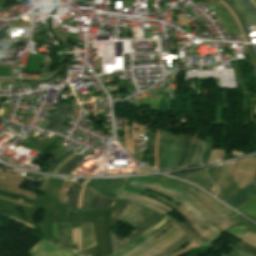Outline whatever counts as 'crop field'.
Instances as JSON below:
<instances>
[{
	"mask_svg": "<svg viewBox=\"0 0 256 256\" xmlns=\"http://www.w3.org/2000/svg\"><path fill=\"white\" fill-rule=\"evenodd\" d=\"M196 188V187H194ZM193 186H188L181 198L187 202L177 207V212L180 213L187 221L194 223H213L231 217L237 213L218 202L211 196L207 195L200 189L196 188L204 199ZM197 196L213 213H211L195 196Z\"/></svg>",
	"mask_w": 256,
	"mask_h": 256,
	"instance_id": "1",
	"label": "crop field"
},
{
	"mask_svg": "<svg viewBox=\"0 0 256 256\" xmlns=\"http://www.w3.org/2000/svg\"><path fill=\"white\" fill-rule=\"evenodd\" d=\"M169 217L165 215L162 219H160L155 225L147 229L145 232L137 236L129 244L125 245L115 253L110 256H123L127 252L136 248L139 244H141L145 239H147L150 235L156 232L159 228L165 225L169 220L166 218ZM30 253L32 256H88L84 253H76V251L71 250L69 248L64 247L58 243L52 245L46 240H41L38 244H36L33 248H31Z\"/></svg>",
	"mask_w": 256,
	"mask_h": 256,
	"instance_id": "2",
	"label": "crop field"
},
{
	"mask_svg": "<svg viewBox=\"0 0 256 256\" xmlns=\"http://www.w3.org/2000/svg\"><path fill=\"white\" fill-rule=\"evenodd\" d=\"M152 212L153 210L149 208L130 202L129 205L126 207V209L122 212V214L118 218H122L125 222L135 227ZM162 216L163 215L154 211L139 225H137L136 226L137 229L124 240L128 242L133 240L134 238H136L137 235H139L140 233L145 231L147 228L155 224L157 220L160 219Z\"/></svg>",
	"mask_w": 256,
	"mask_h": 256,
	"instance_id": "3",
	"label": "crop field"
},
{
	"mask_svg": "<svg viewBox=\"0 0 256 256\" xmlns=\"http://www.w3.org/2000/svg\"><path fill=\"white\" fill-rule=\"evenodd\" d=\"M131 179H135V180H138V181H142V182H145V183L156 185V186H159V187H162V188H165V189H168V190L180 193V194H183V192L186 189L185 186L173 184V183L166 182V181L159 180V179L152 178V177H133ZM131 179H128V181L126 182L125 185L131 186V187H136V188H141V189L152 190V191L161 193V194L169 197L170 199H172L174 201H177L181 204L186 202V201H184L183 199L180 198L181 197L180 194H177V193H174V192H171V191H168V190L156 187V186H152V185H149V184H145V183H142V182L131 180Z\"/></svg>",
	"mask_w": 256,
	"mask_h": 256,
	"instance_id": "4",
	"label": "crop field"
},
{
	"mask_svg": "<svg viewBox=\"0 0 256 256\" xmlns=\"http://www.w3.org/2000/svg\"><path fill=\"white\" fill-rule=\"evenodd\" d=\"M176 226L175 224L172 225L171 227H169L168 229H166L164 232H162L160 235H158L152 242H150L149 244L145 245L144 247H142L141 249H139L138 251L134 252L133 254L129 255V256H154L162 251H164L166 248H168L170 245H172L173 243H175L177 240H179L180 238H182L184 235H186L179 227H175L171 232L170 230ZM178 229V230H177ZM177 230L175 233L174 231ZM182 231L180 234L179 232ZM168 232H170L169 234H167ZM174 233V234H173ZM165 234H167L164 238H162ZM171 234H173L170 238H168ZM179 234V235H178ZM178 235V236H177ZM177 236V237H176ZM174 237H176L172 242L168 243L171 239H173ZM162 238L161 240H159L158 242H156L158 239ZM168 238V239H167ZM165 239H167L164 243L160 244L159 246H157L159 243H161L162 241H164ZM156 242V243H155ZM155 243V244H154ZM168 243V244H167ZM167 244V245H166ZM166 245V246H164ZM157 246V247H156ZM164 246L163 248H160Z\"/></svg>",
	"mask_w": 256,
	"mask_h": 256,
	"instance_id": "5",
	"label": "crop field"
},
{
	"mask_svg": "<svg viewBox=\"0 0 256 256\" xmlns=\"http://www.w3.org/2000/svg\"><path fill=\"white\" fill-rule=\"evenodd\" d=\"M185 139V133L179 135L168 133L166 137V151L164 158V168H174L178 162L179 155Z\"/></svg>",
	"mask_w": 256,
	"mask_h": 256,
	"instance_id": "6",
	"label": "crop field"
},
{
	"mask_svg": "<svg viewBox=\"0 0 256 256\" xmlns=\"http://www.w3.org/2000/svg\"><path fill=\"white\" fill-rule=\"evenodd\" d=\"M127 179H92L86 186L103 196L116 198Z\"/></svg>",
	"mask_w": 256,
	"mask_h": 256,
	"instance_id": "7",
	"label": "crop field"
},
{
	"mask_svg": "<svg viewBox=\"0 0 256 256\" xmlns=\"http://www.w3.org/2000/svg\"><path fill=\"white\" fill-rule=\"evenodd\" d=\"M237 224L239 223L234 218H230L228 220H224L212 225H191L197 232L205 236L210 241L214 242L219 238L222 232Z\"/></svg>",
	"mask_w": 256,
	"mask_h": 256,
	"instance_id": "8",
	"label": "crop field"
},
{
	"mask_svg": "<svg viewBox=\"0 0 256 256\" xmlns=\"http://www.w3.org/2000/svg\"><path fill=\"white\" fill-rule=\"evenodd\" d=\"M171 221H173L177 226H179L187 235L184 236L182 239H180L179 241H177L175 244H173L172 246H170L168 249H166L164 252H162L161 254H158L156 256H168L172 253H174L175 251H177L179 248L183 247L184 245L188 244L191 241H195L199 246L203 247L205 246V243L199 241L195 235L190 232L185 226H183L181 223L177 222L175 219H173L171 216L168 218Z\"/></svg>",
	"mask_w": 256,
	"mask_h": 256,
	"instance_id": "9",
	"label": "crop field"
},
{
	"mask_svg": "<svg viewBox=\"0 0 256 256\" xmlns=\"http://www.w3.org/2000/svg\"><path fill=\"white\" fill-rule=\"evenodd\" d=\"M173 176L190 180L205 189L206 191L216 195L210 190L214 185L211 183L209 177L207 176L205 169L193 172H186L182 174H174Z\"/></svg>",
	"mask_w": 256,
	"mask_h": 256,
	"instance_id": "10",
	"label": "crop field"
},
{
	"mask_svg": "<svg viewBox=\"0 0 256 256\" xmlns=\"http://www.w3.org/2000/svg\"><path fill=\"white\" fill-rule=\"evenodd\" d=\"M69 108L70 105L58 103L46 130L57 132L65 122Z\"/></svg>",
	"mask_w": 256,
	"mask_h": 256,
	"instance_id": "11",
	"label": "crop field"
},
{
	"mask_svg": "<svg viewBox=\"0 0 256 256\" xmlns=\"http://www.w3.org/2000/svg\"><path fill=\"white\" fill-rule=\"evenodd\" d=\"M255 195H256V184L255 182H253L225 202L236 209L241 204L251 199Z\"/></svg>",
	"mask_w": 256,
	"mask_h": 256,
	"instance_id": "12",
	"label": "crop field"
},
{
	"mask_svg": "<svg viewBox=\"0 0 256 256\" xmlns=\"http://www.w3.org/2000/svg\"><path fill=\"white\" fill-rule=\"evenodd\" d=\"M82 248L95 247L93 223H81Z\"/></svg>",
	"mask_w": 256,
	"mask_h": 256,
	"instance_id": "13",
	"label": "crop field"
},
{
	"mask_svg": "<svg viewBox=\"0 0 256 256\" xmlns=\"http://www.w3.org/2000/svg\"><path fill=\"white\" fill-rule=\"evenodd\" d=\"M118 198H128V199L142 200V201H146V202L155 204V205H157L161 208H164V209H166L170 212L174 210V209L170 208L169 206L165 205L164 203H162V202H160V201H158L154 198L143 196V195L136 194V193L122 191V193L119 195Z\"/></svg>",
	"mask_w": 256,
	"mask_h": 256,
	"instance_id": "14",
	"label": "crop field"
},
{
	"mask_svg": "<svg viewBox=\"0 0 256 256\" xmlns=\"http://www.w3.org/2000/svg\"><path fill=\"white\" fill-rule=\"evenodd\" d=\"M228 1H230L232 5L235 7V9L239 12L246 27L255 25L254 20L252 19L246 7L240 2V0Z\"/></svg>",
	"mask_w": 256,
	"mask_h": 256,
	"instance_id": "15",
	"label": "crop field"
},
{
	"mask_svg": "<svg viewBox=\"0 0 256 256\" xmlns=\"http://www.w3.org/2000/svg\"><path fill=\"white\" fill-rule=\"evenodd\" d=\"M115 199H106L97 193L93 192L92 195V202L90 208H107L112 207Z\"/></svg>",
	"mask_w": 256,
	"mask_h": 256,
	"instance_id": "16",
	"label": "crop field"
},
{
	"mask_svg": "<svg viewBox=\"0 0 256 256\" xmlns=\"http://www.w3.org/2000/svg\"><path fill=\"white\" fill-rule=\"evenodd\" d=\"M236 210L256 220V197L251 199L246 204H244L243 206L239 207Z\"/></svg>",
	"mask_w": 256,
	"mask_h": 256,
	"instance_id": "17",
	"label": "crop field"
},
{
	"mask_svg": "<svg viewBox=\"0 0 256 256\" xmlns=\"http://www.w3.org/2000/svg\"><path fill=\"white\" fill-rule=\"evenodd\" d=\"M62 229H63V242L66 244H72L71 224H62ZM58 235H59L60 241L62 242L61 224H58Z\"/></svg>",
	"mask_w": 256,
	"mask_h": 256,
	"instance_id": "18",
	"label": "crop field"
},
{
	"mask_svg": "<svg viewBox=\"0 0 256 256\" xmlns=\"http://www.w3.org/2000/svg\"><path fill=\"white\" fill-rule=\"evenodd\" d=\"M123 190H127V191H131V192H136V193H140V194L152 196V197H154V198H156L157 196H159V197H161L162 199L166 200L167 202H169V203H171V204H173V205H175V206L179 205L178 203H176V202H174V201H171V200H169L168 198H166V197H164V196H161V195H158V194L153 193V192H149V191H145V190H140V189H135V188H130V187H126V186L123 187ZM157 199H159V200H161V201L167 203L166 201H164V200H162V199H160V198H158V197H157ZM169 203H167V204H169ZM171 204H169V205H171ZM173 205H171V206H173ZM175 206H173V207H175Z\"/></svg>",
	"mask_w": 256,
	"mask_h": 256,
	"instance_id": "19",
	"label": "crop field"
},
{
	"mask_svg": "<svg viewBox=\"0 0 256 256\" xmlns=\"http://www.w3.org/2000/svg\"><path fill=\"white\" fill-rule=\"evenodd\" d=\"M207 6H209L210 8L213 9V11L217 14V16L221 19L222 25L226 31V33H230L233 32L232 28L227 20V18L225 17V15L220 11V9L218 7H216L214 4H212L211 2L206 4Z\"/></svg>",
	"mask_w": 256,
	"mask_h": 256,
	"instance_id": "20",
	"label": "crop field"
},
{
	"mask_svg": "<svg viewBox=\"0 0 256 256\" xmlns=\"http://www.w3.org/2000/svg\"><path fill=\"white\" fill-rule=\"evenodd\" d=\"M80 185L74 183L72 193L69 201V212H76L77 208V197L80 190Z\"/></svg>",
	"mask_w": 256,
	"mask_h": 256,
	"instance_id": "21",
	"label": "crop field"
},
{
	"mask_svg": "<svg viewBox=\"0 0 256 256\" xmlns=\"http://www.w3.org/2000/svg\"><path fill=\"white\" fill-rule=\"evenodd\" d=\"M84 158L80 157V156H75L73 159H71L68 163H66L65 165H63L60 169H59V173H70L74 168H76L78 165H76L77 163H79L81 160H83Z\"/></svg>",
	"mask_w": 256,
	"mask_h": 256,
	"instance_id": "22",
	"label": "crop field"
},
{
	"mask_svg": "<svg viewBox=\"0 0 256 256\" xmlns=\"http://www.w3.org/2000/svg\"><path fill=\"white\" fill-rule=\"evenodd\" d=\"M198 139H199V133H193L191 147H190V150H189V153H188V156H187L184 166L191 165V163L193 161V157H194Z\"/></svg>",
	"mask_w": 256,
	"mask_h": 256,
	"instance_id": "23",
	"label": "crop field"
},
{
	"mask_svg": "<svg viewBox=\"0 0 256 256\" xmlns=\"http://www.w3.org/2000/svg\"><path fill=\"white\" fill-rule=\"evenodd\" d=\"M154 132L155 129L150 127L149 130V139H148V157H147V163L152 166V160H153V141H154Z\"/></svg>",
	"mask_w": 256,
	"mask_h": 256,
	"instance_id": "24",
	"label": "crop field"
},
{
	"mask_svg": "<svg viewBox=\"0 0 256 256\" xmlns=\"http://www.w3.org/2000/svg\"><path fill=\"white\" fill-rule=\"evenodd\" d=\"M191 135H192V133L186 132V140H185L184 148H183V151H182V154L179 159L177 167L182 166L186 159V156H187V153L189 150V146H190V142H191Z\"/></svg>",
	"mask_w": 256,
	"mask_h": 256,
	"instance_id": "25",
	"label": "crop field"
},
{
	"mask_svg": "<svg viewBox=\"0 0 256 256\" xmlns=\"http://www.w3.org/2000/svg\"><path fill=\"white\" fill-rule=\"evenodd\" d=\"M127 243L128 242H126V241L120 239L119 237L111 234V244H112L113 252H115L116 250H118L119 248H121L122 246H124Z\"/></svg>",
	"mask_w": 256,
	"mask_h": 256,
	"instance_id": "26",
	"label": "crop field"
},
{
	"mask_svg": "<svg viewBox=\"0 0 256 256\" xmlns=\"http://www.w3.org/2000/svg\"><path fill=\"white\" fill-rule=\"evenodd\" d=\"M212 140H213V137H207L206 139V144H205L204 153L202 157V163H206L208 161L209 153L212 148Z\"/></svg>",
	"mask_w": 256,
	"mask_h": 256,
	"instance_id": "27",
	"label": "crop field"
},
{
	"mask_svg": "<svg viewBox=\"0 0 256 256\" xmlns=\"http://www.w3.org/2000/svg\"><path fill=\"white\" fill-rule=\"evenodd\" d=\"M165 136H166V132L161 130L160 161H159L158 169H162V167H163Z\"/></svg>",
	"mask_w": 256,
	"mask_h": 256,
	"instance_id": "28",
	"label": "crop field"
},
{
	"mask_svg": "<svg viewBox=\"0 0 256 256\" xmlns=\"http://www.w3.org/2000/svg\"><path fill=\"white\" fill-rule=\"evenodd\" d=\"M229 169H230V163L225 164L224 167H223V170L221 172V176L219 178V181L216 185L219 190H220L221 186L223 185V183H224V181H225V179L228 175Z\"/></svg>",
	"mask_w": 256,
	"mask_h": 256,
	"instance_id": "29",
	"label": "crop field"
},
{
	"mask_svg": "<svg viewBox=\"0 0 256 256\" xmlns=\"http://www.w3.org/2000/svg\"><path fill=\"white\" fill-rule=\"evenodd\" d=\"M215 1H216L218 4H220V5L224 8V10L227 12V14H228V15L230 16V18L232 19V21H233L235 27L238 28V26H237V24H236V22H235L233 16L230 14L229 10H228L227 8H225V7L223 6V4L220 3L219 1H217V0H215ZM216 2L213 1L212 3H214L216 6H218V7L221 9V11H222V12L226 15V17L228 18V20H229V22H230L232 28L234 29L235 27H234V25H233L231 19H230L229 16L226 14V12L222 9V7H221L220 5H218Z\"/></svg>",
	"mask_w": 256,
	"mask_h": 256,
	"instance_id": "30",
	"label": "crop field"
},
{
	"mask_svg": "<svg viewBox=\"0 0 256 256\" xmlns=\"http://www.w3.org/2000/svg\"><path fill=\"white\" fill-rule=\"evenodd\" d=\"M248 231L246 230L244 227L240 226V227H233L230 230H228L227 232L234 235L235 237L242 239L243 234Z\"/></svg>",
	"mask_w": 256,
	"mask_h": 256,
	"instance_id": "31",
	"label": "crop field"
},
{
	"mask_svg": "<svg viewBox=\"0 0 256 256\" xmlns=\"http://www.w3.org/2000/svg\"><path fill=\"white\" fill-rule=\"evenodd\" d=\"M244 242L256 247V234L247 232L244 236Z\"/></svg>",
	"mask_w": 256,
	"mask_h": 256,
	"instance_id": "32",
	"label": "crop field"
},
{
	"mask_svg": "<svg viewBox=\"0 0 256 256\" xmlns=\"http://www.w3.org/2000/svg\"><path fill=\"white\" fill-rule=\"evenodd\" d=\"M202 149H203V142L199 139V143H198V146H197L196 155H195V157H194V162H193L192 165L201 163V162H200V157H201Z\"/></svg>",
	"mask_w": 256,
	"mask_h": 256,
	"instance_id": "33",
	"label": "crop field"
},
{
	"mask_svg": "<svg viewBox=\"0 0 256 256\" xmlns=\"http://www.w3.org/2000/svg\"><path fill=\"white\" fill-rule=\"evenodd\" d=\"M232 178H233V176L228 175V177H227V179H226V182H225V184H224V186H223L221 192H220L216 197H218V198L221 199V198L224 196V194L227 192V190H228V188H229V185H230V183H231V181H232Z\"/></svg>",
	"mask_w": 256,
	"mask_h": 256,
	"instance_id": "34",
	"label": "crop field"
},
{
	"mask_svg": "<svg viewBox=\"0 0 256 256\" xmlns=\"http://www.w3.org/2000/svg\"><path fill=\"white\" fill-rule=\"evenodd\" d=\"M182 224H184L188 229H190L198 239H200L201 241L205 242L206 245L212 243L210 242L209 240H207L205 237H203L202 235H200L199 233H197L193 228L192 226L189 224V223H186V222H182Z\"/></svg>",
	"mask_w": 256,
	"mask_h": 256,
	"instance_id": "35",
	"label": "crop field"
},
{
	"mask_svg": "<svg viewBox=\"0 0 256 256\" xmlns=\"http://www.w3.org/2000/svg\"><path fill=\"white\" fill-rule=\"evenodd\" d=\"M173 223H169L167 226H165L164 228H162L160 231H158L156 234H154L153 236H151L149 239L145 240L140 246H138L135 250L131 251L130 253L126 254L125 256H128L129 254L133 253L134 251H136L137 249L141 248L143 245H145L146 243L150 242L154 237H156L161 231L165 230L166 228H168L170 225H172Z\"/></svg>",
	"mask_w": 256,
	"mask_h": 256,
	"instance_id": "36",
	"label": "crop field"
},
{
	"mask_svg": "<svg viewBox=\"0 0 256 256\" xmlns=\"http://www.w3.org/2000/svg\"><path fill=\"white\" fill-rule=\"evenodd\" d=\"M229 247L233 248L229 256H253V255L243 252L231 245ZM222 256H225V255H222Z\"/></svg>",
	"mask_w": 256,
	"mask_h": 256,
	"instance_id": "37",
	"label": "crop field"
},
{
	"mask_svg": "<svg viewBox=\"0 0 256 256\" xmlns=\"http://www.w3.org/2000/svg\"><path fill=\"white\" fill-rule=\"evenodd\" d=\"M240 247L243 251L256 255V248L241 241Z\"/></svg>",
	"mask_w": 256,
	"mask_h": 256,
	"instance_id": "38",
	"label": "crop field"
},
{
	"mask_svg": "<svg viewBox=\"0 0 256 256\" xmlns=\"http://www.w3.org/2000/svg\"><path fill=\"white\" fill-rule=\"evenodd\" d=\"M70 184H71V181H64L63 183V186L61 189V196H60V200H62V202H65V194Z\"/></svg>",
	"mask_w": 256,
	"mask_h": 256,
	"instance_id": "39",
	"label": "crop field"
},
{
	"mask_svg": "<svg viewBox=\"0 0 256 256\" xmlns=\"http://www.w3.org/2000/svg\"><path fill=\"white\" fill-rule=\"evenodd\" d=\"M224 1H225V2L229 5V7L235 12L236 16H237L238 19L240 20V22H241V24H242V26H243V28H244V30H245L246 36H247V38H248V41L251 42V41H250V38H249V35H248V32H247V30H246V28H245V26H244V24H243V22H242V19H241L240 15L237 13V11L234 9V7H233L228 1H226V0H224Z\"/></svg>",
	"mask_w": 256,
	"mask_h": 256,
	"instance_id": "40",
	"label": "crop field"
},
{
	"mask_svg": "<svg viewBox=\"0 0 256 256\" xmlns=\"http://www.w3.org/2000/svg\"><path fill=\"white\" fill-rule=\"evenodd\" d=\"M219 1H221V2L230 10V12L233 14V16H234L236 22L238 23V25H239V27H240V30H241V32H242V34H243L244 41H245V42H248L247 39H246L245 33H244V31H243V29H242V27H241V25H240V23H239L237 17L235 16V14L232 12V10L228 7V5H227L223 0H219Z\"/></svg>",
	"mask_w": 256,
	"mask_h": 256,
	"instance_id": "41",
	"label": "crop field"
},
{
	"mask_svg": "<svg viewBox=\"0 0 256 256\" xmlns=\"http://www.w3.org/2000/svg\"><path fill=\"white\" fill-rule=\"evenodd\" d=\"M75 155H77V153H72L70 156H68L66 159H64L61 163H59L58 165H57V167L55 168V170L53 171V172H57L58 171V169L63 165V164H65L67 161H69L71 158H73Z\"/></svg>",
	"mask_w": 256,
	"mask_h": 256,
	"instance_id": "42",
	"label": "crop field"
},
{
	"mask_svg": "<svg viewBox=\"0 0 256 256\" xmlns=\"http://www.w3.org/2000/svg\"><path fill=\"white\" fill-rule=\"evenodd\" d=\"M72 152H74V151H70V152H68L66 155H64L62 158H60L58 161H56L55 163H53L52 165H50V167H49V169H48V171H53V169H54V167L59 163V162H61L64 158H66L68 155H70Z\"/></svg>",
	"mask_w": 256,
	"mask_h": 256,
	"instance_id": "43",
	"label": "crop field"
},
{
	"mask_svg": "<svg viewBox=\"0 0 256 256\" xmlns=\"http://www.w3.org/2000/svg\"><path fill=\"white\" fill-rule=\"evenodd\" d=\"M155 177L161 178V179H164V180H168V181H171V182L179 183V184H182V185H186V186L188 185L187 183L181 182L177 179L168 178L166 176H155Z\"/></svg>",
	"mask_w": 256,
	"mask_h": 256,
	"instance_id": "44",
	"label": "crop field"
},
{
	"mask_svg": "<svg viewBox=\"0 0 256 256\" xmlns=\"http://www.w3.org/2000/svg\"><path fill=\"white\" fill-rule=\"evenodd\" d=\"M134 202H136V201H134ZM137 203H139V204H141V205H144V206H147V207H149V208H152V209H154V210H156V211H158V212H160V213H162V214H166L167 212H165V211H163V210H161V209H159V208H157V207H155V206H153V205H150V204H146V203H142V202H137Z\"/></svg>",
	"mask_w": 256,
	"mask_h": 256,
	"instance_id": "45",
	"label": "crop field"
},
{
	"mask_svg": "<svg viewBox=\"0 0 256 256\" xmlns=\"http://www.w3.org/2000/svg\"><path fill=\"white\" fill-rule=\"evenodd\" d=\"M222 167H223V166H219V167H216V169H215V174H214V177H213V179H212L215 184H216V182H217V180H218V178H219V175H220V172H221V170H222Z\"/></svg>",
	"mask_w": 256,
	"mask_h": 256,
	"instance_id": "46",
	"label": "crop field"
},
{
	"mask_svg": "<svg viewBox=\"0 0 256 256\" xmlns=\"http://www.w3.org/2000/svg\"><path fill=\"white\" fill-rule=\"evenodd\" d=\"M240 190H241V188H239V187L237 186V187H236L235 189H233L225 198H223L222 201L228 199L229 197H231L232 195H234L235 193H237V192L240 191Z\"/></svg>",
	"mask_w": 256,
	"mask_h": 256,
	"instance_id": "47",
	"label": "crop field"
},
{
	"mask_svg": "<svg viewBox=\"0 0 256 256\" xmlns=\"http://www.w3.org/2000/svg\"><path fill=\"white\" fill-rule=\"evenodd\" d=\"M217 153H218V150H215V151H212V152H211L210 158H209V162L216 160V158H217Z\"/></svg>",
	"mask_w": 256,
	"mask_h": 256,
	"instance_id": "48",
	"label": "crop field"
},
{
	"mask_svg": "<svg viewBox=\"0 0 256 256\" xmlns=\"http://www.w3.org/2000/svg\"><path fill=\"white\" fill-rule=\"evenodd\" d=\"M88 190H89L88 188L85 189L84 199H83V203H82V210H85V203H86Z\"/></svg>",
	"mask_w": 256,
	"mask_h": 256,
	"instance_id": "49",
	"label": "crop field"
},
{
	"mask_svg": "<svg viewBox=\"0 0 256 256\" xmlns=\"http://www.w3.org/2000/svg\"><path fill=\"white\" fill-rule=\"evenodd\" d=\"M245 1L250 6V8L253 10V12L256 14V7L253 5V3L250 0H245Z\"/></svg>",
	"mask_w": 256,
	"mask_h": 256,
	"instance_id": "50",
	"label": "crop field"
},
{
	"mask_svg": "<svg viewBox=\"0 0 256 256\" xmlns=\"http://www.w3.org/2000/svg\"><path fill=\"white\" fill-rule=\"evenodd\" d=\"M247 47H248V51H249V54H250V56H251L252 62H253V64H254L255 71H256V64H255V61H254V57H253L252 51H251L249 45H247Z\"/></svg>",
	"mask_w": 256,
	"mask_h": 256,
	"instance_id": "51",
	"label": "crop field"
},
{
	"mask_svg": "<svg viewBox=\"0 0 256 256\" xmlns=\"http://www.w3.org/2000/svg\"><path fill=\"white\" fill-rule=\"evenodd\" d=\"M91 195H92V190H90V191H89V195H88V199H87L86 208H89V206H90V202H91Z\"/></svg>",
	"mask_w": 256,
	"mask_h": 256,
	"instance_id": "52",
	"label": "crop field"
},
{
	"mask_svg": "<svg viewBox=\"0 0 256 256\" xmlns=\"http://www.w3.org/2000/svg\"><path fill=\"white\" fill-rule=\"evenodd\" d=\"M53 232H54V235L58 238V236H57V224H53Z\"/></svg>",
	"mask_w": 256,
	"mask_h": 256,
	"instance_id": "53",
	"label": "crop field"
},
{
	"mask_svg": "<svg viewBox=\"0 0 256 256\" xmlns=\"http://www.w3.org/2000/svg\"><path fill=\"white\" fill-rule=\"evenodd\" d=\"M242 2H243V4L248 8V6L245 4V2L243 1V0H241ZM248 10L250 11V13H251V15H252V17H253V19L255 20V22H256V17H255V15L252 13V11L248 8Z\"/></svg>",
	"mask_w": 256,
	"mask_h": 256,
	"instance_id": "54",
	"label": "crop field"
},
{
	"mask_svg": "<svg viewBox=\"0 0 256 256\" xmlns=\"http://www.w3.org/2000/svg\"><path fill=\"white\" fill-rule=\"evenodd\" d=\"M58 203H59V201H58V202H57V204H56V208H55V212H54V219H53V223H55L56 211H57Z\"/></svg>",
	"mask_w": 256,
	"mask_h": 256,
	"instance_id": "55",
	"label": "crop field"
},
{
	"mask_svg": "<svg viewBox=\"0 0 256 256\" xmlns=\"http://www.w3.org/2000/svg\"><path fill=\"white\" fill-rule=\"evenodd\" d=\"M251 46V49H252V51H253V54H254V57H255V60H256V53H255V51H254V49H253V46L252 45H250Z\"/></svg>",
	"mask_w": 256,
	"mask_h": 256,
	"instance_id": "56",
	"label": "crop field"
},
{
	"mask_svg": "<svg viewBox=\"0 0 256 256\" xmlns=\"http://www.w3.org/2000/svg\"><path fill=\"white\" fill-rule=\"evenodd\" d=\"M212 190L217 194L218 189L214 186Z\"/></svg>",
	"mask_w": 256,
	"mask_h": 256,
	"instance_id": "57",
	"label": "crop field"
},
{
	"mask_svg": "<svg viewBox=\"0 0 256 256\" xmlns=\"http://www.w3.org/2000/svg\"><path fill=\"white\" fill-rule=\"evenodd\" d=\"M84 180H85V179H81L80 182H79V184H81Z\"/></svg>",
	"mask_w": 256,
	"mask_h": 256,
	"instance_id": "58",
	"label": "crop field"
},
{
	"mask_svg": "<svg viewBox=\"0 0 256 256\" xmlns=\"http://www.w3.org/2000/svg\"><path fill=\"white\" fill-rule=\"evenodd\" d=\"M251 159H254V160H256V157H252Z\"/></svg>",
	"mask_w": 256,
	"mask_h": 256,
	"instance_id": "59",
	"label": "crop field"
},
{
	"mask_svg": "<svg viewBox=\"0 0 256 256\" xmlns=\"http://www.w3.org/2000/svg\"><path fill=\"white\" fill-rule=\"evenodd\" d=\"M0 122H2V120Z\"/></svg>",
	"mask_w": 256,
	"mask_h": 256,
	"instance_id": "60",
	"label": "crop field"
}]
</instances>
